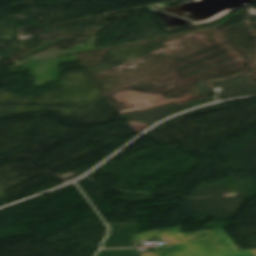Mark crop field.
Wrapping results in <instances>:
<instances>
[{"label":"crop field","instance_id":"crop-field-1","mask_svg":"<svg viewBox=\"0 0 256 256\" xmlns=\"http://www.w3.org/2000/svg\"><path fill=\"white\" fill-rule=\"evenodd\" d=\"M134 240L162 236L170 250L141 256H253L239 251L222 228L181 234V226L133 235Z\"/></svg>","mask_w":256,"mask_h":256},{"label":"crop field","instance_id":"crop-field-2","mask_svg":"<svg viewBox=\"0 0 256 256\" xmlns=\"http://www.w3.org/2000/svg\"><path fill=\"white\" fill-rule=\"evenodd\" d=\"M251 251V253L254 255V256H256V249H252V250H250Z\"/></svg>","mask_w":256,"mask_h":256}]
</instances>
